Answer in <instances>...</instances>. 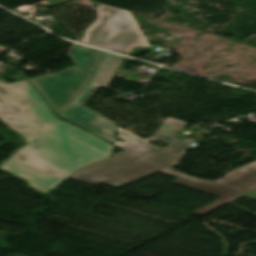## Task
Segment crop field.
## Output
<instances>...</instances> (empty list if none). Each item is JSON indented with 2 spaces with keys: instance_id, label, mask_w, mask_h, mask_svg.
Returning <instances> with one entry per match:
<instances>
[{
  "instance_id": "dd49c442",
  "label": "crop field",
  "mask_w": 256,
  "mask_h": 256,
  "mask_svg": "<svg viewBox=\"0 0 256 256\" xmlns=\"http://www.w3.org/2000/svg\"><path fill=\"white\" fill-rule=\"evenodd\" d=\"M216 183L246 192L256 188V162L229 173Z\"/></svg>"
},
{
  "instance_id": "412701ff",
  "label": "crop field",
  "mask_w": 256,
  "mask_h": 256,
  "mask_svg": "<svg viewBox=\"0 0 256 256\" xmlns=\"http://www.w3.org/2000/svg\"><path fill=\"white\" fill-rule=\"evenodd\" d=\"M67 54L75 66L29 79L57 114L85 87L103 51L73 44Z\"/></svg>"
},
{
  "instance_id": "ac0d7876",
  "label": "crop field",
  "mask_w": 256,
  "mask_h": 256,
  "mask_svg": "<svg viewBox=\"0 0 256 256\" xmlns=\"http://www.w3.org/2000/svg\"><path fill=\"white\" fill-rule=\"evenodd\" d=\"M177 122L186 124L179 120L168 118L150 139H141L118 127L117 137L127 141L116 142V146L126 152L112 156L99 163L86 167L71 176V178L90 184L104 183L119 188L128 183L161 171L177 177L173 182L192 187L201 191L215 194L220 200L193 213L204 214L242 194L238 190L230 189L213 182L204 181L174 171L166 170L180 165L188 142L174 139L183 126ZM147 141H166L172 145L159 149Z\"/></svg>"
},
{
  "instance_id": "34b2d1b8",
  "label": "crop field",
  "mask_w": 256,
  "mask_h": 256,
  "mask_svg": "<svg viewBox=\"0 0 256 256\" xmlns=\"http://www.w3.org/2000/svg\"><path fill=\"white\" fill-rule=\"evenodd\" d=\"M97 12L98 18L86 29L83 43L130 56L154 48L128 11L99 3Z\"/></svg>"
},
{
  "instance_id": "8a807250",
  "label": "crop field",
  "mask_w": 256,
  "mask_h": 256,
  "mask_svg": "<svg viewBox=\"0 0 256 256\" xmlns=\"http://www.w3.org/2000/svg\"><path fill=\"white\" fill-rule=\"evenodd\" d=\"M0 119L28 142L26 148L13 154L0 169L43 194L75 170L113 151V145L58 120L27 80L0 83Z\"/></svg>"
},
{
  "instance_id": "e52e79f7",
  "label": "crop field",
  "mask_w": 256,
  "mask_h": 256,
  "mask_svg": "<svg viewBox=\"0 0 256 256\" xmlns=\"http://www.w3.org/2000/svg\"><path fill=\"white\" fill-rule=\"evenodd\" d=\"M245 196L251 197V198H255L256 199V190L246 194Z\"/></svg>"
},
{
  "instance_id": "f4fd0767",
  "label": "crop field",
  "mask_w": 256,
  "mask_h": 256,
  "mask_svg": "<svg viewBox=\"0 0 256 256\" xmlns=\"http://www.w3.org/2000/svg\"><path fill=\"white\" fill-rule=\"evenodd\" d=\"M123 57L105 52L91 82L85 90L59 115L77 126L114 144L116 123L106 119L82 104L99 88H108Z\"/></svg>"
}]
</instances>
